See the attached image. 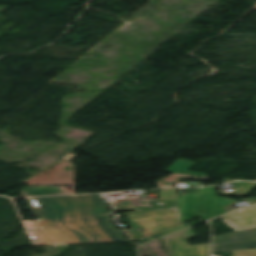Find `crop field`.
<instances>
[{"mask_svg": "<svg viewBox=\"0 0 256 256\" xmlns=\"http://www.w3.org/2000/svg\"><path fill=\"white\" fill-rule=\"evenodd\" d=\"M104 214H107V213H104ZM94 215H97V214H94ZM84 216H87V215H84Z\"/></svg>", "mask_w": 256, "mask_h": 256, "instance_id": "15", "label": "crop field"}, {"mask_svg": "<svg viewBox=\"0 0 256 256\" xmlns=\"http://www.w3.org/2000/svg\"><path fill=\"white\" fill-rule=\"evenodd\" d=\"M40 219L107 212L103 194L30 199Z\"/></svg>", "mask_w": 256, "mask_h": 256, "instance_id": "1", "label": "crop field"}, {"mask_svg": "<svg viewBox=\"0 0 256 256\" xmlns=\"http://www.w3.org/2000/svg\"><path fill=\"white\" fill-rule=\"evenodd\" d=\"M232 256H256V249H245L239 251H230Z\"/></svg>", "mask_w": 256, "mask_h": 256, "instance_id": "12", "label": "crop field"}, {"mask_svg": "<svg viewBox=\"0 0 256 256\" xmlns=\"http://www.w3.org/2000/svg\"><path fill=\"white\" fill-rule=\"evenodd\" d=\"M25 225L35 245L80 243L58 218L28 221Z\"/></svg>", "mask_w": 256, "mask_h": 256, "instance_id": "4", "label": "crop field"}, {"mask_svg": "<svg viewBox=\"0 0 256 256\" xmlns=\"http://www.w3.org/2000/svg\"><path fill=\"white\" fill-rule=\"evenodd\" d=\"M216 186L209 188H199L200 193L177 196L178 213L181 223L190 221L191 217L201 216L207 220L227 212L224 208L235 203L233 199L218 197L214 191Z\"/></svg>", "mask_w": 256, "mask_h": 256, "instance_id": "2", "label": "crop field"}, {"mask_svg": "<svg viewBox=\"0 0 256 256\" xmlns=\"http://www.w3.org/2000/svg\"><path fill=\"white\" fill-rule=\"evenodd\" d=\"M234 185H235V196H242V195H247L249 192H251L256 186V183L235 182Z\"/></svg>", "mask_w": 256, "mask_h": 256, "instance_id": "10", "label": "crop field"}, {"mask_svg": "<svg viewBox=\"0 0 256 256\" xmlns=\"http://www.w3.org/2000/svg\"><path fill=\"white\" fill-rule=\"evenodd\" d=\"M195 164H197V163L179 159L177 162H175L171 167H169L164 172L184 173V174H192V175L207 177L208 174L187 171Z\"/></svg>", "mask_w": 256, "mask_h": 256, "instance_id": "9", "label": "crop field"}, {"mask_svg": "<svg viewBox=\"0 0 256 256\" xmlns=\"http://www.w3.org/2000/svg\"><path fill=\"white\" fill-rule=\"evenodd\" d=\"M110 219H113L111 214L59 218L66 230H71L81 243L127 240L113 224L98 225Z\"/></svg>", "mask_w": 256, "mask_h": 256, "instance_id": "3", "label": "crop field"}, {"mask_svg": "<svg viewBox=\"0 0 256 256\" xmlns=\"http://www.w3.org/2000/svg\"><path fill=\"white\" fill-rule=\"evenodd\" d=\"M195 238L192 229L164 238L169 256H209V244L188 246L186 240Z\"/></svg>", "mask_w": 256, "mask_h": 256, "instance_id": "6", "label": "crop field"}, {"mask_svg": "<svg viewBox=\"0 0 256 256\" xmlns=\"http://www.w3.org/2000/svg\"><path fill=\"white\" fill-rule=\"evenodd\" d=\"M189 226H191V225L186 224V223L181 224V225L176 226V227H174V228H172V229H169V230H167V231H164V232H161V233H159V234H156V235H153V236H151V237H148V238H145V239H143V240H140L139 242H137V244L142 245V244H144V243H146V242H148V241H151V240H154V239H156V238H159V237L168 235V234H170V233L176 232V231H178V230H181V229L186 228V227H189Z\"/></svg>", "mask_w": 256, "mask_h": 256, "instance_id": "11", "label": "crop field"}, {"mask_svg": "<svg viewBox=\"0 0 256 256\" xmlns=\"http://www.w3.org/2000/svg\"><path fill=\"white\" fill-rule=\"evenodd\" d=\"M256 248V228L213 236V251Z\"/></svg>", "mask_w": 256, "mask_h": 256, "instance_id": "5", "label": "crop field"}, {"mask_svg": "<svg viewBox=\"0 0 256 256\" xmlns=\"http://www.w3.org/2000/svg\"><path fill=\"white\" fill-rule=\"evenodd\" d=\"M220 218L237 230L256 227V206L244 208Z\"/></svg>", "mask_w": 256, "mask_h": 256, "instance_id": "7", "label": "crop field"}, {"mask_svg": "<svg viewBox=\"0 0 256 256\" xmlns=\"http://www.w3.org/2000/svg\"><path fill=\"white\" fill-rule=\"evenodd\" d=\"M23 190H24L25 197L63 194L60 186H35L31 188H26Z\"/></svg>", "mask_w": 256, "mask_h": 256, "instance_id": "8", "label": "crop field"}, {"mask_svg": "<svg viewBox=\"0 0 256 256\" xmlns=\"http://www.w3.org/2000/svg\"><path fill=\"white\" fill-rule=\"evenodd\" d=\"M111 221H112V220H110V221H106V222H103V223H100V225H103V224H109V223H111Z\"/></svg>", "mask_w": 256, "mask_h": 256, "instance_id": "14", "label": "crop field"}, {"mask_svg": "<svg viewBox=\"0 0 256 256\" xmlns=\"http://www.w3.org/2000/svg\"><path fill=\"white\" fill-rule=\"evenodd\" d=\"M116 201H124V200L123 199H119V200H112V201H110L111 202V206H112L114 212H119Z\"/></svg>", "mask_w": 256, "mask_h": 256, "instance_id": "13", "label": "crop field"}]
</instances>
